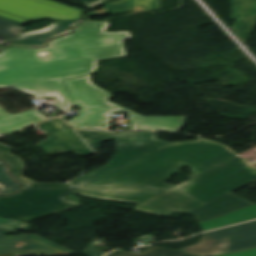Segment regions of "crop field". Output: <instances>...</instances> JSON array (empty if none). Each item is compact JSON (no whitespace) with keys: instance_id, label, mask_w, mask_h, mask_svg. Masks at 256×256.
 <instances>
[{"instance_id":"00972430","label":"crop field","mask_w":256,"mask_h":256,"mask_svg":"<svg viewBox=\"0 0 256 256\" xmlns=\"http://www.w3.org/2000/svg\"><path fill=\"white\" fill-rule=\"evenodd\" d=\"M82 254L84 256H102L104 252H101L93 247H88Z\"/></svg>"},{"instance_id":"e52e79f7","label":"crop field","mask_w":256,"mask_h":256,"mask_svg":"<svg viewBox=\"0 0 256 256\" xmlns=\"http://www.w3.org/2000/svg\"><path fill=\"white\" fill-rule=\"evenodd\" d=\"M12 148L0 144V158L10 163L11 171L25 188H65V190H22L16 195L0 196V217L42 218L79 206L63 200V195L74 192L71 184L36 183L21 174L24 165L21 158L9 153Z\"/></svg>"},{"instance_id":"92a150f3","label":"crop field","mask_w":256,"mask_h":256,"mask_svg":"<svg viewBox=\"0 0 256 256\" xmlns=\"http://www.w3.org/2000/svg\"><path fill=\"white\" fill-rule=\"evenodd\" d=\"M0 184L2 186L18 185L6 173V166L4 165V163L0 164Z\"/></svg>"},{"instance_id":"733c2abd","label":"crop field","mask_w":256,"mask_h":256,"mask_svg":"<svg viewBox=\"0 0 256 256\" xmlns=\"http://www.w3.org/2000/svg\"><path fill=\"white\" fill-rule=\"evenodd\" d=\"M106 256H194L186 253L175 252L155 246L145 247V251L142 254L125 253L122 250L113 251Z\"/></svg>"},{"instance_id":"1d83c4d3","label":"crop field","mask_w":256,"mask_h":256,"mask_svg":"<svg viewBox=\"0 0 256 256\" xmlns=\"http://www.w3.org/2000/svg\"><path fill=\"white\" fill-rule=\"evenodd\" d=\"M0 47H1V45H0Z\"/></svg>"},{"instance_id":"4a817a6b","label":"crop field","mask_w":256,"mask_h":256,"mask_svg":"<svg viewBox=\"0 0 256 256\" xmlns=\"http://www.w3.org/2000/svg\"><path fill=\"white\" fill-rule=\"evenodd\" d=\"M255 21L256 17L244 18L235 21L233 29L244 42H246Z\"/></svg>"},{"instance_id":"28ad6ade","label":"crop field","mask_w":256,"mask_h":256,"mask_svg":"<svg viewBox=\"0 0 256 256\" xmlns=\"http://www.w3.org/2000/svg\"><path fill=\"white\" fill-rule=\"evenodd\" d=\"M15 241H19L23 243V245L16 247L12 244ZM1 253H13L14 256H55L77 254L32 234L0 237V254Z\"/></svg>"},{"instance_id":"22f410ed","label":"crop field","mask_w":256,"mask_h":256,"mask_svg":"<svg viewBox=\"0 0 256 256\" xmlns=\"http://www.w3.org/2000/svg\"><path fill=\"white\" fill-rule=\"evenodd\" d=\"M78 20L56 21L52 25L33 32L19 35L11 44L26 46H42L48 38L64 33Z\"/></svg>"},{"instance_id":"a9b5d70f","label":"crop field","mask_w":256,"mask_h":256,"mask_svg":"<svg viewBox=\"0 0 256 256\" xmlns=\"http://www.w3.org/2000/svg\"><path fill=\"white\" fill-rule=\"evenodd\" d=\"M82 1L86 7L90 8V7L98 5L106 0H82Z\"/></svg>"},{"instance_id":"3316defc","label":"crop field","mask_w":256,"mask_h":256,"mask_svg":"<svg viewBox=\"0 0 256 256\" xmlns=\"http://www.w3.org/2000/svg\"><path fill=\"white\" fill-rule=\"evenodd\" d=\"M51 132L38 145L48 154L74 152L81 156L93 154L89 147L59 118L37 125Z\"/></svg>"},{"instance_id":"cbeb9de0","label":"crop field","mask_w":256,"mask_h":256,"mask_svg":"<svg viewBox=\"0 0 256 256\" xmlns=\"http://www.w3.org/2000/svg\"><path fill=\"white\" fill-rule=\"evenodd\" d=\"M136 6H141L146 10L158 9L160 6V0H119L105 5L99 11H93L88 13V16L110 15L130 12Z\"/></svg>"},{"instance_id":"5a996713","label":"crop field","mask_w":256,"mask_h":256,"mask_svg":"<svg viewBox=\"0 0 256 256\" xmlns=\"http://www.w3.org/2000/svg\"><path fill=\"white\" fill-rule=\"evenodd\" d=\"M0 11L29 20L51 17L57 20L80 19L83 11L50 0H0Z\"/></svg>"},{"instance_id":"f4fd0767","label":"crop field","mask_w":256,"mask_h":256,"mask_svg":"<svg viewBox=\"0 0 256 256\" xmlns=\"http://www.w3.org/2000/svg\"><path fill=\"white\" fill-rule=\"evenodd\" d=\"M256 178V167L241 156L201 173L170 190L164 191L140 204L137 211L165 216L175 211L189 212ZM232 192V191H231Z\"/></svg>"},{"instance_id":"120bbe31","label":"crop field","mask_w":256,"mask_h":256,"mask_svg":"<svg viewBox=\"0 0 256 256\" xmlns=\"http://www.w3.org/2000/svg\"><path fill=\"white\" fill-rule=\"evenodd\" d=\"M1 163V162H0Z\"/></svg>"},{"instance_id":"ac0d7876","label":"crop field","mask_w":256,"mask_h":256,"mask_svg":"<svg viewBox=\"0 0 256 256\" xmlns=\"http://www.w3.org/2000/svg\"><path fill=\"white\" fill-rule=\"evenodd\" d=\"M108 22H81L74 32L51 40L44 48L7 47L0 52V71L29 67L65 59L98 58L99 61L125 57L123 40L129 32L103 33ZM51 55L40 60L38 57Z\"/></svg>"},{"instance_id":"bd1437ed","label":"crop field","mask_w":256,"mask_h":256,"mask_svg":"<svg viewBox=\"0 0 256 256\" xmlns=\"http://www.w3.org/2000/svg\"><path fill=\"white\" fill-rule=\"evenodd\" d=\"M48 57H50V56H48ZM48 57H42V58H40V59H44V58H48Z\"/></svg>"},{"instance_id":"d1516ede","label":"crop field","mask_w":256,"mask_h":256,"mask_svg":"<svg viewBox=\"0 0 256 256\" xmlns=\"http://www.w3.org/2000/svg\"><path fill=\"white\" fill-rule=\"evenodd\" d=\"M250 205L253 204L230 192L188 214L202 222Z\"/></svg>"},{"instance_id":"412701ff","label":"crop field","mask_w":256,"mask_h":256,"mask_svg":"<svg viewBox=\"0 0 256 256\" xmlns=\"http://www.w3.org/2000/svg\"><path fill=\"white\" fill-rule=\"evenodd\" d=\"M76 132L86 141V143L96 152L102 142L115 141L116 151L113 157L103 166L94 171L84 174L85 176L72 182L78 195L94 199L121 201L137 204L159 192L161 190L146 189L140 187H100L88 186L87 183L112 171L113 169L147 153H151L169 143L161 141L155 137V132H96L79 131ZM146 155V154H145ZM144 156V155H143Z\"/></svg>"},{"instance_id":"d3111659","label":"crop field","mask_w":256,"mask_h":256,"mask_svg":"<svg viewBox=\"0 0 256 256\" xmlns=\"http://www.w3.org/2000/svg\"><path fill=\"white\" fill-rule=\"evenodd\" d=\"M22 30H24V29H23V28H20V29H18L17 31H15L13 34L18 35Z\"/></svg>"},{"instance_id":"d9b57169","label":"crop field","mask_w":256,"mask_h":256,"mask_svg":"<svg viewBox=\"0 0 256 256\" xmlns=\"http://www.w3.org/2000/svg\"><path fill=\"white\" fill-rule=\"evenodd\" d=\"M232 19L256 15V0H230Z\"/></svg>"},{"instance_id":"34b2d1b8","label":"crop field","mask_w":256,"mask_h":256,"mask_svg":"<svg viewBox=\"0 0 256 256\" xmlns=\"http://www.w3.org/2000/svg\"><path fill=\"white\" fill-rule=\"evenodd\" d=\"M97 59L65 60L29 68L6 69L0 72V87H13L35 98L49 97L57 105L70 110L73 103L62 80L94 74ZM34 111L11 115L0 107V134H11L34 123L45 120Z\"/></svg>"},{"instance_id":"dd49c442","label":"crop field","mask_w":256,"mask_h":256,"mask_svg":"<svg viewBox=\"0 0 256 256\" xmlns=\"http://www.w3.org/2000/svg\"><path fill=\"white\" fill-rule=\"evenodd\" d=\"M90 76L72 80H63L75 107L81 108L80 113L68 120L75 128L108 130L112 112L128 111L131 130H166L177 131L187 117H143L126 110L107 99L110 94L91 83Z\"/></svg>"},{"instance_id":"5142ce71","label":"crop field","mask_w":256,"mask_h":256,"mask_svg":"<svg viewBox=\"0 0 256 256\" xmlns=\"http://www.w3.org/2000/svg\"><path fill=\"white\" fill-rule=\"evenodd\" d=\"M256 218V205L202 222L199 227L202 231Z\"/></svg>"},{"instance_id":"214f88e0","label":"crop field","mask_w":256,"mask_h":256,"mask_svg":"<svg viewBox=\"0 0 256 256\" xmlns=\"http://www.w3.org/2000/svg\"><path fill=\"white\" fill-rule=\"evenodd\" d=\"M18 28L20 27L0 20V36L14 40L17 36L11 33Z\"/></svg>"},{"instance_id":"eef30255","label":"crop field","mask_w":256,"mask_h":256,"mask_svg":"<svg viewBox=\"0 0 256 256\" xmlns=\"http://www.w3.org/2000/svg\"><path fill=\"white\" fill-rule=\"evenodd\" d=\"M0 19H1V20H4V21H6V22L12 23V24L19 25V26L22 25V23H19V22H17V21L11 20V19L6 18V17H3V16H0Z\"/></svg>"},{"instance_id":"730fd06b","label":"crop field","mask_w":256,"mask_h":256,"mask_svg":"<svg viewBox=\"0 0 256 256\" xmlns=\"http://www.w3.org/2000/svg\"><path fill=\"white\" fill-rule=\"evenodd\" d=\"M0 15H3V16H6V17H9V18H11V19L17 20V21L22 22V23H27V22H29V21H26V20H23V19H20V18H17V17H13V16H10V15H7V14H4V13H1V12H0Z\"/></svg>"},{"instance_id":"4177f3b9","label":"crop field","mask_w":256,"mask_h":256,"mask_svg":"<svg viewBox=\"0 0 256 256\" xmlns=\"http://www.w3.org/2000/svg\"><path fill=\"white\" fill-rule=\"evenodd\" d=\"M18 188H19V186L4 187V192H1L0 194L15 192V191H17Z\"/></svg>"},{"instance_id":"8a807250","label":"crop field","mask_w":256,"mask_h":256,"mask_svg":"<svg viewBox=\"0 0 256 256\" xmlns=\"http://www.w3.org/2000/svg\"><path fill=\"white\" fill-rule=\"evenodd\" d=\"M239 155L233 149L207 139L186 143H172L139 159L91 184L134 185L168 189L164 184L179 168L186 165L192 170L191 178Z\"/></svg>"},{"instance_id":"d8731c3e","label":"crop field","mask_w":256,"mask_h":256,"mask_svg":"<svg viewBox=\"0 0 256 256\" xmlns=\"http://www.w3.org/2000/svg\"><path fill=\"white\" fill-rule=\"evenodd\" d=\"M253 247H256V221L205 233L199 243L179 251L212 256Z\"/></svg>"},{"instance_id":"ae1a2a85","label":"crop field","mask_w":256,"mask_h":256,"mask_svg":"<svg viewBox=\"0 0 256 256\" xmlns=\"http://www.w3.org/2000/svg\"><path fill=\"white\" fill-rule=\"evenodd\" d=\"M6 232H15L14 230L0 229V236H4Z\"/></svg>"},{"instance_id":"bc2a9ffb","label":"crop field","mask_w":256,"mask_h":256,"mask_svg":"<svg viewBox=\"0 0 256 256\" xmlns=\"http://www.w3.org/2000/svg\"><path fill=\"white\" fill-rule=\"evenodd\" d=\"M0 228L29 230L31 226L21 221L0 218Z\"/></svg>"},{"instance_id":"dafd665d","label":"crop field","mask_w":256,"mask_h":256,"mask_svg":"<svg viewBox=\"0 0 256 256\" xmlns=\"http://www.w3.org/2000/svg\"><path fill=\"white\" fill-rule=\"evenodd\" d=\"M220 256H256V248Z\"/></svg>"},{"instance_id":"750c4746","label":"crop field","mask_w":256,"mask_h":256,"mask_svg":"<svg viewBox=\"0 0 256 256\" xmlns=\"http://www.w3.org/2000/svg\"><path fill=\"white\" fill-rule=\"evenodd\" d=\"M0 256H13L12 254H1Z\"/></svg>"}]
</instances>
